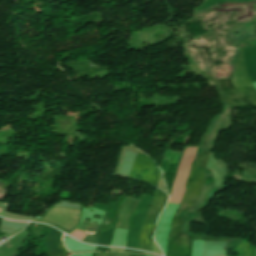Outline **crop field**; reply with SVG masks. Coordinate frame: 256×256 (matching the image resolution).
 I'll return each instance as SVG.
<instances>
[{"instance_id":"8a807250","label":"crop field","mask_w":256,"mask_h":256,"mask_svg":"<svg viewBox=\"0 0 256 256\" xmlns=\"http://www.w3.org/2000/svg\"><path fill=\"white\" fill-rule=\"evenodd\" d=\"M198 147L187 146L173 181L172 191L169 202L180 203L185 193V183L190 174V166L195 157Z\"/></svg>"},{"instance_id":"ac0d7876","label":"crop field","mask_w":256,"mask_h":256,"mask_svg":"<svg viewBox=\"0 0 256 256\" xmlns=\"http://www.w3.org/2000/svg\"><path fill=\"white\" fill-rule=\"evenodd\" d=\"M96 224L94 223H90V222H87V221H81L80 225L77 227V229L83 231V232H86L88 230V228L90 227H94L95 228ZM99 228H100V225L97 224L96 228H95V234H91V235H88L83 241L85 242H89V243H94V244H97L98 243V233H99ZM70 235L82 240L86 235L77 231V230H74L73 232L70 233Z\"/></svg>"},{"instance_id":"34b2d1b8","label":"crop field","mask_w":256,"mask_h":256,"mask_svg":"<svg viewBox=\"0 0 256 256\" xmlns=\"http://www.w3.org/2000/svg\"><path fill=\"white\" fill-rule=\"evenodd\" d=\"M137 201H138V199L133 200L132 198H129V197L126 198L124 205L122 207V210H121L119 222L117 224L118 228L128 230V220H129V217H130Z\"/></svg>"},{"instance_id":"412701ff","label":"crop field","mask_w":256,"mask_h":256,"mask_svg":"<svg viewBox=\"0 0 256 256\" xmlns=\"http://www.w3.org/2000/svg\"><path fill=\"white\" fill-rule=\"evenodd\" d=\"M7 220V219H6ZM11 221V220H10ZM28 223V222H27Z\"/></svg>"}]
</instances>
